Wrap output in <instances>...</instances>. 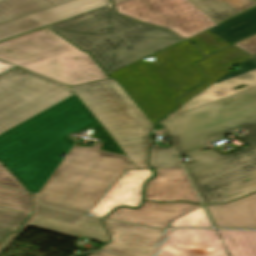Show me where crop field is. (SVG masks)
Instances as JSON below:
<instances>
[{
    "label": "crop field",
    "instance_id": "crop-field-1",
    "mask_svg": "<svg viewBox=\"0 0 256 256\" xmlns=\"http://www.w3.org/2000/svg\"><path fill=\"white\" fill-rule=\"evenodd\" d=\"M96 123L75 94L0 135V160L30 192L38 193L63 160L60 154L73 146L69 133Z\"/></svg>",
    "mask_w": 256,
    "mask_h": 256
},
{
    "label": "crop field",
    "instance_id": "crop-field-2",
    "mask_svg": "<svg viewBox=\"0 0 256 256\" xmlns=\"http://www.w3.org/2000/svg\"><path fill=\"white\" fill-rule=\"evenodd\" d=\"M49 27L88 51L107 74L183 40L120 16L112 5Z\"/></svg>",
    "mask_w": 256,
    "mask_h": 256
},
{
    "label": "crop field",
    "instance_id": "crop-field-3",
    "mask_svg": "<svg viewBox=\"0 0 256 256\" xmlns=\"http://www.w3.org/2000/svg\"><path fill=\"white\" fill-rule=\"evenodd\" d=\"M153 56L157 63L140 60L109 77L118 81L155 125L178 107L175 100L200 83L204 75L195 64L203 57L186 41Z\"/></svg>",
    "mask_w": 256,
    "mask_h": 256
},
{
    "label": "crop field",
    "instance_id": "crop-field-4",
    "mask_svg": "<svg viewBox=\"0 0 256 256\" xmlns=\"http://www.w3.org/2000/svg\"><path fill=\"white\" fill-rule=\"evenodd\" d=\"M74 146L67 158L43 188L39 201L87 214L125 170L136 169L127 156Z\"/></svg>",
    "mask_w": 256,
    "mask_h": 256
},
{
    "label": "crop field",
    "instance_id": "crop-field-5",
    "mask_svg": "<svg viewBox=\"0 0 256 256\" xmlns=\"http://www.w3.org/2000/svg\"><path fill=\"white\" fill-rule=\"evenodd\" d=\"M177 153L209 148L211 139L256 128V87L161 121Z\"/></svg>",
    "mask_w": 256,
    "mask_h": 256
},
{
    "label": "crop field",
    "instance_id": "crop-field-6",
    "mask_svg": "<svg viewBox=\"0 0 256 256\" xmlns=\"http://www.w3.org/2000/svg\"><path fill=\"white\" fill-rule=\"evenodd\" d=\"M138 169H150L152 125L114 79L70 87Z\"/></svg>",
    "mask_w": 256,
    "mask_h": 256
},
{
    "label": "crop field",
    "instance_id": "crop-field-7",
    "mask_svg": "<svg viewBox=\"0 0 256 256\" xmlns=\"http://www.w3.org/2000/svg\"><path fill=\"white\" fill-rule=\"evenodd\" d=\"M238 138L249 147L226 155L211 149L184 162L203 203L227 202L256 192V129Z\"/></svg>",
    "mask_w": 256,
    "mask_h": 256
},
{
    "label": "crop field",
    "instance_id": "crop-field-8",
    "mask_svg": "<svg viewBox=\"0 0 256 256\" xmlns=\"http://www.w3.org/2000/svg\"><path fill=\"white\" fill-rule=\"evenodd\" d=\"M75 94L19 67L0 76V134Z\"/></svg>",
    "mask_w": 256,
    "mask_h": 256
},
{
    "label": "crop field",
    "instance_id": "crop-field-9",
    "mask_svg": "<svg viewBox=\"0 0 256 256\" xmlns=\"http://www.w3.org/2000/svg\"><path fill=\"white\" fill-rule=\"evenodd\" d=\"M69 43L45 27L1 42L0 60L64 85L62 56L82 52Z\"/></svg>",
    "mask_w": 256,
    "mask_h": 256
},
{
    "label": "crop field",
    "instance_id": "crop-field-10",
    "mask_svg": "<svg viewBox=\"0 0 256 256\" xmlns=\"http://www.w3.org/2000/svg\"><path fill=\"white\" fill-rule=\"evenodd\" d=\"M117 13L163 27L187 38L215 26L187 0H126L115 4Z\"/></svg>",
    "mask_w": 256,
    "mask_h": 256
},
{
    "label": "crop field",
    "instance_id": "crop-field-11",
    "mask_svg": "<svg viewBox=\"0 0 256 256\" xmlns=\"http://www.w3.org/2000/svg\"><path fill=\"white\" fill-rule=\"evenodd\" d=\"M28 226L74 237L76 235L93 238L107 243L109 236L105 232L101 219L61 211L37 204L33 195V214L18 233L9 235L0 244V254Z\"/></svg>",
    "mask_w": 256,
    "mask_h": 256
},
{
    "label": "crop field",
    "instance_id": "crop-field-12",
    "mask_svg": "<svg viewBox=\"0 0 256 256\" xmlns=\"http://www.w3.org/2000/svg\"><path fill=\"white\" fill-rule=\"evenodd\" d=\"M112 241L101 249L123 256H154L165 231L104 220Z\"/></svg>",
    "mask_w": 256,
    "mask_h": 256
},
{
    "label": "crop field",
    "instance_id": "crop-field-13",
    "mask_svg": "<svg viewBox=\"0 0 256 256\" xmlns=\"http://www.w3.org/2000/svg\"><path fill=\"white\" fill-rule=\"evenodd\" d=\"M158 256H228L216 230L179 229L167 234Z\"/></svg>",
    "mask_w": 256,
    "mask_h": 256
},
{
    "label": "crop field",
    "instance_id": "crop-field-14",
    "mask_svg": "<svg viewBox=\"0 0 256 256\" xmlns=\"http://www.w3.org/2000/svg\"><path fill=\"white\" fill-rule=\"evenodd\" d=\"M110 0H73L0 25V41L110 4Z\"/></svg>",
    "mask_w": 256,
    "mask_h": 256
},
{
    "label": "crop field",
    "instance_id": "crop-field-15",
    "mask_svg": "<svg viewBox=\"0 0 256 256\" xmlns=\"http://www.w3.org/2000/svg\"><path fill=\"white\" fill-rule=\"evenodd\" d=\"M153 173L152 169L125 171L89 213L103 217L117 206L138 207L144 183Z\"/></svg>",
    "mask_w": 256,
    "mask_h": 256
},
{
    "label": "crop field",
    "instance_id": "crop-field-16",
    "mask_svg": "<svg viewBox=\"0 0 256 256\" xmlns=\"http://www.w3.org/2000/svg\"><path fill=\"white\" fill-rule=\"evenodd\" d=\"M241 71H234L205 89L203 92L189 100L169 116L185 112L198 106L238 93L256 86V60L251 56L241 64ZM245 85L243 88L234 89L235 86Z\"/></svg>",
    "mask_w": 256,
    "mask_h": 256
},
{
    "label": "crop field",
    "instance_id": "crop-field-17",
    "mask_svg": "<svg viewBox=\"0 0 256 256\" xmlns=\"http://www.w3.org/2000/svg\"><path fill=\"white\" fill-rule=\"evenodd\" d=\"M200 206L189 203L156 204L144 202L138 210L121 208L109 215L107 219L167 229L169 223L174 219Z\"/></svg>",
    "mask_w": 256,
    "mask_h": 256
},
{
    "label": "crop field",
    "instance_id": "crop-field-18",
    "mask_svg": "<svg viewBox=\"0 0 256 256\" xmlns=\"http://www.w3.org/2000/svg\"><path fill=\"white\" fill-rule=\"evenodd\" d=\"M156 171L157 176L146 185L145 200L199 203L181 167Z\"/></svg>",
    "mask_w": 256,
    "mask_h": 256
},
{
    "label": "crop field",
    "instance_id": "crop-field-19",
    "mask_svg": "<svg viewBox=\"0 0 256 256\" xmlns=\"http://www.w3.org/2000/svg\"><path fill=\"white\" fill-rule=\"evenodd\" d=\"M216 227L256 228V193L218 205H206Z\"/></svg>",
    "mask_w": 256,
    "mask_h": 256
},
{
    "label": "crop field",
    "instance_id": "crop-field-20",
    "mask_svg": "<svg viewBox=\"0 0 256 256\" xmlns=\"http://www.w3.org/2000/svg\"><path fill=\"white\" fill-rule=\"evenodd\" d=\"M223 50V49H222ZM221 51V50H220ZM219 52V51H218ZM250 55L238 50L233 45L227 49L214 54L198 64L204 68L207 78L203 83L178 100L182 105L189 99L203 91L205 88L231 72V67L244 62Z\"/></svg>",
    "mask_w": 256,
    "mask_h": 256
},
{
    "label": "crop field",
    "instance_id": "crop-field-21",
    "mask_svg": "<svg viewBox=\"0 0 256 256\" xmlns=\"http://www.w3.org/2000/svg\"><path fill=\"white\" fill-rule=\"evenodd\" d=\"M65 84L76 86L108 79L87 52L63 57Z\"/></svg>",
    "mask_w": 256,
    "mask_h": 256
},
{
    "label": "crop field",
    "instance_id": "crop-field-22",
    "mask_svg": "<svg viewBox=\"0 0 256 256\" xmlns=\"http://www.w3.org/2000/svg\"><path fill=\"white\" fill-rule=\"evenodd\" d=\"M209 31L229 43L253 35L256 33V8L242 13Z\"/></svg>",
    "mask_w": 256,
    "mask_h": 256
},
{
    "label": "crop field",
    "instance_id": "crop-field-23",
    "mask_svg": "<svg viewBox=\"0 0 256 256\" xmlns=\"http://www.w3.org/2000/svg\"><path fill=\"white\" fill-rule=\"evenodd\" d=\"M70 0H7L0 2V24Z\"/></svg>",
    "mask_w": 256,
    "mask_h": 256
},
{
    "label": "crop field",
    "instance_id": "crop-field-24",
    "mask_svg": "<svg viewBox=\"0 0 256 256\" xmlns=\"http://www.w3.org/2000/svg\"><path fill=\"white\" fill-rule=\"evenodd\" d=\"M231 256H256V231L218 230Z\"/></svg>",
    "mask_w": 256,
    "mask_h": 256
},
{
    "label": "crop field",
    "instance_id": "crop-field-25",
    "mask_svg": "<svg viewBox=\"0 0 256 256\" xmlns=\"http://www.w3.org/2000/svg\"><path fill=\"white\" fill-rule=\"evenodd\" d=\"M207 16L213 19L216 23L221 22L236 13L222 0H190Z\"/></svg>",
    "mask_w": 256,
    "mask_h": 256
},
{
    "label": "crop field",
    "instance_id": "crop-field-26",
    "mask_svg": "<svg viewBox=\"0 0 256 256\" xmlns=\"http://www.w3.org/2000/svg\"><path fill=\"white\" fill-rule=\"evenodd\" d=\"M0 206L30 214L31 196L0 187Z\"/></svg>",
    "mask_w": 256,
    "mask_h": 256
},
{
    "label": "crop field",
    "instance_id": "crop-field-27",
    "mask_svg": "<svg viewBox=\"0 0 256 256\" xmlns=\"http://www.w3.org/2000/svg\"><path fill=\"white\" fill-rule=\"evenodd\" d=\"M29 214L0 207V241L10 232L17 231Z\"/></svg>",
    "mask_w": 256,
    "mask_h": 256
},
{
    "label": "crop field",
    "instance_id": "crop-field-28",
    "mask_svg": "<svg viewBox=\"0 0 256 256\" xmlns=\"http://www.w3.org/2000/svg\"><path fill=\"white\" fill-rule=\"evenodd\" d=\"M188 40L193 42L205 56L230 45L207 30Z\"/></svg>",
    "mask_w": 256,
    "mask_h": 256
},
{
    "label": "crop field",
    "instance_id": "crop-field-29",
    "mask_svg": "<svg viewBox=\"0 0 256 256\" xmlns=\"http://www.w3.org/2000/svg\"><path fill=\"white\" fill-rule=\"evenodd\" d=\"M171 147H159L153 144L150 149V165L154 168L180 166Z\"/></svg>",
    "mask_w": 256,
    "mask_h": 256
},
{
    "label": "crop field",
    "instance_id": "crop-field-30",
    "mask_svg": "<svg viewBox=\"0 0 256 256\" xmlns=\"http://www.w3.org/2000/svg\"><path fill=\"white\" fill-rule=\"evenodd\" d=\"M192 226V227H211L202 207L176 219L170 227Z\"/></svg>",
    "mask_w": 256,
    "mask_h": 256
},
{
    "label": "crop field",
    "instance_id": "crop-field-31",
    "mask_svg": "<svg viewBox=\"0 0 256 256\" xmlns=\"http://www.w3.org/2000/svg\"><path fill=\"white\" fill-rule=\"evenodd\" d=\"M0 184L26 191L18 181L0 164Z\"/></svg>",
    "mask_w": 256,
    "mask_h": 256
},
{
    "label": "crop field",
    "instance_id": "crop-field-32",
    "mask_svg": "<svg viewBox=\"0 0 256 256\" xmlns=\"http://www.w3.org/2000/svg\"><path fill=\"white\" fill-rule=\"evenodd\" d=\"M225 1L237 14L256 5V0H223Z\"/></svg>",
    "mask_w": 256,
    "mask_h": 256
},
{
    "label": "crop field",
    "instance_id": "crop-field-33",
    "mask_svg": "<svg viewBox=\"0 0 256 256\" xmlns=\"http://www.w3.org/2000/svg\"><path fill=\"white\" fill-rule=\"evenodd\" d=\"M234 46L253 55L256 53V36L240 41L234 44Z\"/></svg>",
    "mask_w": 256,
    "mask_h": 256
},
{
    "label": "crop field",
    "instance_id": "crop-field-34",
    "mask_svg": "<svg viewBox=\"0 0 256 256\" xmlns=\"http://www.w3.org/2000/svg\"><path fill=\"white\" fill-rule=\"evenodd\" d=\"M13 67L15 66L5 63L3 61H0V73L5 72Z\"/></svg>",
    "mask_w": 256,
    "mask_h": 256
},
{
    "label": "crop field",
    "instance_id": "crop-field-35",
    "mask_svg": "<svg viewBox=\"0 0 256 256\" xmlns=\"http://www.w3.org/2000/svg\"><path fill=\"white\" fill-rule=\"evenodd\" d=\"M90 256H116V255H113V254H110V253H106V252H95V253H93Z\"/></svg>",
    "mask_w": 256,
    "mask_h": 256
},
{
    "label": "crop field",
    "instance_id": "crop-field-36",
    "mask_svg": "<svg viewBox=\"0 0 256 256\" xmlns=\"http://www.w3.org/2000/svg\"><path fill=\"white\" fill-rule=\"evenodd\" d=\"M255 59H256V55L255 56H253Z\"/></svg>",
    "mask_w": 256,
    "mask_h": 256
},
{
    "label": "crop field",
    "instance_id": "crop-field-37",
    "mask_svg": "<svg viewBox=\"0 0 256 256\" xmlns=\"http://www.w3.org/2000/svg\"><path fill=\"white\" fill-rule=\"evenodd\" d=\"M116 1H119V0H114V2H116Z\"/></svg>",
    "mask_w": 256,
    "mask_h": 256
},
{
    "label": "crop field",
    "instance_id": "crop-field-38",
    "mask_svg": "<svg viewBox=\"0 0 256 256\" xmlns=\"http://www.w3.org/2000/svg\"><path fill=\"white\" fill-rule=\"evenodd\" d=\"M0 1H4V0H0Z\"/></svg>",
    "mask_w": 256,
    "mask_h": 256
}]
</instances>
